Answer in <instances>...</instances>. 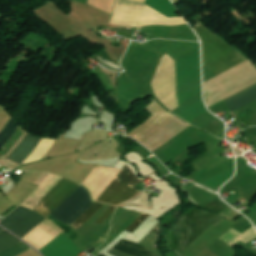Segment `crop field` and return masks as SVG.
<instances>
[{
	"mask_svg": "<svg viewBox=\"0 0 256 256\" xmlns=\"http://www.w3.org/2000/svg\"><path fill=\"white\" fill-rule=\"evenodd\" d=\"M3 228L0 227V230H2Z\"/></svg>",
	"mask_w": 256,
	"mask_h": 256,
	"instance_id": "crop-field-17",
	"label": "crop field"
},
{
	"mask_svg": "<svg viewBox=\"0 0 256 256\" xmlns=\"http://www.w3.org/2000/svg\"><path fill=\"white\" fill-rule=\"evenodd\" d=\"M61 232L62 231L45 219L32 229L23 239L40 250Z\"/></svg>",
	"mask_w": 256,
	"mask_h": 256,
	"instance_id": "crop-field-7",
	"label": "crop field"
},
{
	"mask_svg": "<svg viewBox=\"0 0 256 256\" xmlns=\"http://www.w3.org/2000/svg\"><path fill=\"white\" fill-rule=\"evenodd\" d=\"M19 241L21 240L12 236L10 233L6 232L5 230L0 232V251L14 245Z\"/></svg>",
	"mask_w": 256,
	"mask_h": 256,
	"instance_id": "crop-field-12",
	"label": "crop field"
},
{
	"mask_svg": "<svg viewBox=\"0 0 256 256\" xmlns=\"http://www.w3.org/2000/svg\"><path fill=\"white\" fill-rule=\"evenodd\" d=\"M28 248H30V247L21 241L18 244L1 252L0 256H17L18 254L24 252Z\"/></svg>",
	"mask_w": 256,
	"mask_h": 256,
	"instance_id": "crop-field-14",
	"label": "crop field"
},
{
	"mask_svg": "<svg viewBox=\"0 0 256 256\" xmlns=\"http://www.w3.org/2000/svg\"><path fill=\"white\" fill-rule=\"evenodd\" d=\"M115 208L112 206H109L106 211L96 220V224L102 225L103 222L107 219V217L114 212Z\"/></svg>",
	"mask_w": 256,
	"mask_h": 256,
	"instance_id": "crop-field-16",
	"label": "crop field"
},
{
	"mask_svg": "<svg viewBox=\"0 0 256 256\" xmlns=\"http://www.w3.org/2000/svg\"><path fill=\"white\" fill-rule=\"evenodd\" d=\"M117 173L118 170L95 165L82 185L91 192L95 200L105 190Z\"/></svg>",
	"mask_w": 256,
	"mask_h": 256,
	"instance_id": "crop-field-6",
	"label": "crop field"
},
{
	"mask_svg": "<svg viewBox=\"0 0 256 256\" xmlns=\"http://www.w3.org/2000/svg\"><path fill=\"white\" fill-rule=\"evenodd\" d=\"M40 138L27 133L21 144L7 157L16 163H21L37 146Z\"/></svg>",
	"mask_w": 256,
	"mask_h": 256,
	"instance_id": "crop-field-9",
	"label": "crop field"
},
{
	"mask_svg": "<svg viewBox=\"0 0 256 256\" xmlns=\"http://www.w3.org/2000/svg\"><path fill=\"white\" fill-rule=\"evenodd\" d=\"M203 43V65L215 75L246 60L200 23L194 28Z\"/></svg>",
	"mask_w": 256,
	"mask_h": 256,
	"instance_id": "crop-field-1",
	"label": "crop field"
},
{
	"mask_svg": "<svg viewBox=\"0 0 256 256\" xmlns=\"http://www.w3.org/2000/svg\"><path fill=\"white\" fill-rule=\"evenodd\" d=\"M148 217V215L141 214L139 215L132 224L126 229V231H129L133 233Z\"/></svg>",
	"mask_w": 256,
	"mask_h": 256,
	"instance_id": "crop-field-15",
	"label": "crop field"
},
{
	"mask_svg": "<svg viewBox=\"0 0 256 256\" xmlns=\"http://www.w3.org/2000/svg\"><path fill=\"white\" fill-rule=\"evenodd\" d=\"M93 200L83 186H79L53 213L58 221L70 225L79 215H81Z\"/></svg>",
	"mask_w": 256,
	"mask_h": 256,
	"instance_id": "crop-field-2",
	"label": "crop field"
},
{
	"mask_svg": "<svg viewBox=\"0 0 256 256\" xmlns=\"http://www.w3.org/2000/svg\"><path fill=\"white\" fill-rule=\"evenodd\" d=\"M17 127V123L11 119L7 126L0 133V148L8 141L11 135L14 133Z\"/></svg>",
	"mask_w": 256,
	"mask_h": 256,
	"instance_id": "crop-field-13",
	"label": "crop field"
},
{
	"mask_svg": "<svg viewBox=\"0 0 256 256\" xmlns=\"http://www.w3.org/2000/svg\"><path fill=\"white\" fill-rule=\"evenodd\" d=\"M113 249H116L118 251L124 252L126 254L132 255V256H156L149 250H147L145 247H143L140 244L130 242L127 240L121 239L114 247ZM109 250L108 252L114 256H129L126 254H123L121 252L115 251V250Z\"/></svg>",
	"mask_w": 256,
	"mask_h": 256,
	"instance_id": "crop-field-8",
	"label": "crop field"
},
{
	"mask_svg": "<svg viewBox=\"0 0 256 256\" xmlns=\"http://www.w3.org/2000/svg\"><path fill=\"white\" fill-rule=\"evenodd\" d=\"M256 101V85L226 99L232 111Z\"/></svg>",
	"mask_w": 256,
	"mask_h": 256,
	"instance_id": "crop-field-10",
	"label": "crop field"
},
{
	"mask_svg": "<svg viewBox=\"0 0 256 256\" xmlns=\"http://www.w3.org/2000/svg\"><path fill=\"white\" fill-rule=\"evenodd\" d=\"M79 184L62 178L42 199L35 211L45 218L53 212Z\"/></svg>",
	"mask_w": 256,
	"mask_h": 256,
	"instance_id": "crop-field-5",
	"label": "crop field"
},
{
	"mask_svg": "<svg viewBox=\"0 0 256 256\" xmlns=\"http://www.w3.org/2000/svg\"><path fill=\"white\" fill-rule=\"evenodd\" d=\"M140 181L133 172L125 165L120 171L108 189L98 199L99 201L119 204L125 200H129L137 192L131 188L133 184Z\"/></svg>",
	"mask_w": 256,
	"mask_h": 256,
	"instance_id": "crop-field-3",
	"label": "crop field"
},
{
	"mask_svg": "<svg viewBox=\"0 0 256 256\" xmlns=\"http://www.w3.org/2000/svg\"><path fill=\"white\" fill-rule=\"evenodd\" d=\"M101 204V203H100ZM93 203L77 220L70 226L78 230L102 205Z\"/></svg>",
	"mask_w": 256,
	"mask_h": 256,
	"instance_id": "crop-field-11",
	"label": "crop field"
},
{
	"mask_svg": "<svg viewBox=\"0 0 256 256\" xmlns=\"http://www.w3.org/2000/svg\"><path fill=\"white\" fill-rule=\"evenodd\" d=\"M44 219L26 208L18 207L2 220L0 224L22 238Z\"/></svg>",
	"mask_w": 256,
	"mask_h": 256,
	"instance_id": "crop-field-4",
	"label": "crop field"
}]
</instances>
